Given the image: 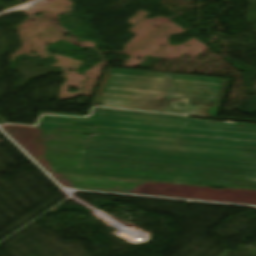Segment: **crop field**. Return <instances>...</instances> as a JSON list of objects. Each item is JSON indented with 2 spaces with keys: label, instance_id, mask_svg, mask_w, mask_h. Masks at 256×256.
I'll return each instance as SVG.
<instances>
[{
  "label": "crop field",
  "instance_id": "8a807250",
  "mask_svg": "<svg viewBox=\"0 0 256 256\" xmlns=\"http://www.w3.org/2000/svg\"><path fill=\"white\" fill-rule=\"evenodd\" d=\"M34 128L105 135L88 136L80 168L54 172L256 190L255 126L96 109L88 119L44 116Z\"/></svg>",
  "mask_w": 256,
  "mask_h": 256
},
{
  "label": "crop field",
  "instance_id": "ac0d7876",
  "mask_svg": "<svg viewBox=\"0 0 256 256\" xmlns=\"http://www.w3.org/2000/svg\"><path fill=\"white\" fill-rule=\"evenodd\" d=\"M227 81L109 70L92 105L214 116Z\"/></svg>",
  "mask_w": 256,
  "mask_h": 256
},
{
  "label": "crop field",
  "instance_id": "34b2d1b8",
  "mask_svg": "<svg viewBox=\"0 0 256 256\" xmlns=\"http://www.w3.org/2000/svg\"><path fill=\"white\" fill-rule=\"evenodd\" d=\"M37 132L44 143V158L49 164L79 167L86 135L43 130Z\"/></svg>",
  "mask_w": 256,
  "mask_h": 256
},
{
  "label": "crop field",
  "instance_id": "412701ff",
  "mask_svg": "<svg viewBox=\"0 0 256 256\" xmlns=\"http://www.w3.org/2000/svg\"><path fill=\"white\" fill-rule=\"evenodd\" d=\"M2 129L23 149H25L36 161H38L63 186L132 193V191L120 190V189L73 186L69 184L61 176L54 173L50 165L43 158L44 146L36 130L33 127L9 125V126L2 127Z\"/></svg>",
  "mask_w": 256,
  "mask_h": 256
},
{
  "label": "crop field",
  "instance_id": "f4fd0767",
  "mask_svg": "<svg viewBox=\"0 0 256 256\" xmlns=\"http://www.w3.org/2000/svg\"><path fill=\"white\" fill-rule=\"evenodd\" d=\"M59 175H61L69 183L73 185H87V186L110 187V188H121V189L133 190L146 183V182L106 179V178H96V177H86V176L78 177V176H72V175H66V174H59ZM78 178L80 180H77ZM82 182H85V184H82ZM87 182L88 184H86Z\"/></svg>",
  "mask_w": 256,
  "mask_h": 256
}]
</instances>
